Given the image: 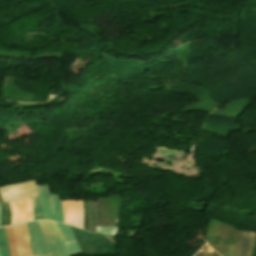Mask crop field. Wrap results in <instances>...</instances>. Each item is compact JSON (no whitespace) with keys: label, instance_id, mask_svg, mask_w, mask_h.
Returning <instances> with one entry per match:
<instances>
[{"label":"crop field","instance_id":"crop-field-11","mask_svg":"<svg viewBox=\"0 0 256 256\" xmlns=\"http://www.w3.org/2000/svg\"><path fill=\"white\" fill-rule=\"evenodd\" d=\"M55 224L57 225V227L61 231V233L64 236L66 241L75 239L70 226L59 224V223H55Z\"/></svg>","mask_w":256,"mask_h":256},{"label":"crop field","instance_id":"crop-field-1","mask_svg":"<svg viewBox=\"0 0 256 256\" xmlns=\"http://www.w3.org/2000/svg\"><path fill=\"white\" fill-rule=\"evenodd\" d=\"M44 233L47 256H70L82 253L76 240L65 242L51 221H38Z\"/></svg>","mask_w":256,"mask_h":256},{"label":"crop field","instance_id":"crop-field-9","mask_svg":"<svg viewBox=\"0 0 256 256\" xmlns=\"http://www.w3.org/2000/svg\"><path fill=\"white\" fill-rule=\"evenodd\" d=\"M5 230H6L7 240H8L10 256H16V250L14 247V235H13L12 227L11 226L5 227Z\"/></svg>","mask_w":256,"mask_h":256},{"label":"crop field","instance_id":"crop-field-10","mask_svg":"<svg viewBox=\"0 0 256 256\" xmlns=\"http://www.w3.org/2000/svg\"><path fill=\"white\" fill-rule=\"evenodd\" d=\"M30 199L34 213V220L43 219L38 196L30 197Z\"/></svg>","mask_w":256,"mask_h":256},{"label":"crop field","instance_id":"crop-field-15","mask_svg":"<svg viewBox=\"0 0 256 256\" xmlns=\"http://www.w3.org/2000/svg\"><path fill=\"white\" fill-rule=\"evenodd\" d=\"M0 256H2L1 248H0Z\"/></svg>","mask_w":256,"mask_h":256},{"label":"crop field","instance_id":"crop-field-6","mask_svg":"<svg viewBox=\"0 0 256 256\" xmlns=\"http://www.w3.org/2000/svg\"><path fill=\"white\" fill-rule=\"evenodd\" d=\"M254 235L255 234L249 233V232L241 233L240 241H239L237 252H236L235 256H249L250 255Z\"/></svg>","mask_w":256,"mask_h":256},{"label":"crop field","instance_id":"crop-field-14","mask_svg":"<svg viewBox=\"0 0 256 256\" xmlns=\"http://www.w3.org/2000/svg\"><path fill=\"white\" fill-rule=\"evenodd\" d=\"M214 250L209 248L207 245L200 250L195 256H209Z\"/></svg>","mask_w":256,"mask_h":256},{"label":"crop field","instance_id":"crop-field-13","mask_svg":"<svg viewBox=\"0 0 256 256\" xmlns=\"http://www.w3.org/2000/svg\"><path fill=\"white\" fill-rule=\"evenodd\" d=\"M97 232L105 233L116 237V228L96 226Z\"/></svg>","mask_w":256,"mask_h":256},{"label":"crop field","instance_id":"crop-field-7","mask_svg":"<svg viewBox=\"0 0 256 256\" xmlns=\"http://www.w3.org/2000/svg\"><path fill=\"white\" fill-rule=\"evenodd\" d=\"M0 210H1L0 227L4 225H10L11 211H10L8 202L4 203V201H0Z\"/></svg>","mask_w":256,"mask_h":256},{"label":"crop field","instance_id":"crop-field-2","mask_svg":"<svg viewBox=\"0 0 256 256\" xmlns=\"http://www.w3.org/2000/svg\"><path fill=\"white\" fill-rule=\"evenodd\" d=\"M90 214V231L96 232L95 225L116 227L117 219H106L107 197H97L88 201Z\"/></svg>","mask_w":256,"mask_h":256},{"label":"crop field","instance_id":"crop-field-4","mask_svg":"<svg viewBox=\"0 0 256 256\" xmlns=\"http://www.w3.org/2000/svg\"><path fill=\"white\" fill-rule=\"evenodd\" d=\"M32 254L46 256L43 233L37 221L26 223Z\"/></svg>","mask_w":256,"mask_h":256},{"label":"crop field","instance_id":"crop-field-5","mask_svg":"<svg viewBox=\"0 0 256 256\" xmlns=\"http://www.w3.org/2000/svg\"><path fill=\"white\" fill-rule=\"evenodd\" d=\"M43 187L46 195V200H47L51 220H55L63 223L62 209H61L59 195L51 194L48 184L43 185Z\"/></svg>","mask_w":256,"mask_h":256},{"label":"crop field","instance_id":"crop-field-12","mask_svg":"<svg viewBox=\"0 0 256 256\" xmlns=\"http://www.w3.org/2000/svg\"><path fill=\"white\" fill-rule=\"evenodd\" d=\"M0 244L4 256H9L4 227L0 228Z\"/></svg>","mask_w":256,"mask_h":256},{"label":"crop field","instance_id":"crop-field-8","mask_svg":"<svg viewBox=\"0 0 256 256\" xmlns=\"http://www.w3.org/2000/svg\"><path fill=\"white\" fill-rule=\"evenodd\" d=\"M37 187H38V192H39V198H40L41 208H42V212H43V217L46 220H50L48 209H47V204H46V200H45V195H44V191H43V187H42V185H37Z\"/></svg>","mask_w":256,"mask_h":256},{"label":"crop field","instance_id":"crop-field-3","mask_svg":"<svg viewBox=\"0 0 256 256\" xmlns=\"http://www.w3.org/2000/svg\"><path fill=\"white\" fill-rule=\"evenodd\" d=\"M64 209V221L66 224H72L77 228L82 229L83 212H82V200L62 201Z\"/></svg>","mask_w":256,"mask_h":256}]
</instances>
